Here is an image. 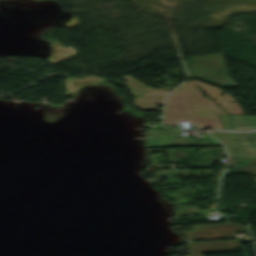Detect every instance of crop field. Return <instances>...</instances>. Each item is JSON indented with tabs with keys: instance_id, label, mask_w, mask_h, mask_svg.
Instances as JSON below:
<instances>
[{
	"instance_id": "obj_1",
	"label": "crop field",
	"mask_w": 256,
	"mask_h": 256,
	"mask_svg": "<svg viewBox=\"0 0 256 256\" xmlns=\"http://www.w3.org/2000/svg\"><path fill=\"white\" fill-rule=\"evenodd\" d=\"M218 114L227 113L209 99L202 98L200 90L190 81L168 95L164 123L188 121L199 124L197 128L222 129Z\"/></svg>"
},
{
	"instance_id": "obj_2",
	"label": "crop field",
	"mask_w": 256,
	"mask_h": 256,
	"mask_svg": "<svg viewBox=\"0 0 256 256\" xmlns=\"http://www.w3.org/2000/svg\"><path fill=\"white\" fill-rule=\"evenodd\" d=\"M120 78L126 81L124 82L127 85L125 88L130 90L128 94L135 97L133 100L136 107L150 110H162L155 108L154 105L163 104L165 94L169 91H153L128 75Z\"/></svg>"
},
{
	"instance_id": "obj_3",
	"label": "crop field",
	"mask_w": 256,
	"mask_h": 256,
	"mask_svg": "<svg viewBox=\"0 0 256 256\" xmlns=\"http://www.w3.org/2000/svg\"><path fill=\"white\" fill-rule=\"evenodd\" d=\"M245 134L212 132L213 137L225 144L229 156H256V132ZM247 138L252 141L255 149L248 142Z\"/></svg>"
},
{
	"instance_id": "obj_4",
	"label": "crop field",
	"mask_w": 256,
	"mask_h": 256,
	"mask_svg": "<svg viewBox=\"0 0 256 256\" xmlns=\"http://www.w3.org/2000/svg\"><path fill=\"white\" fill-rule=\"evenodd\" d=\"M192 227L194 232L180 233L187 238L196 240L235 238L233 232H245L249 234L247 226H242L239 223L199 225Z\"/></svg>"
},
{
	"instance_id": "obj_5",
	"label": "crop field",
	"mask_w": 256,
	"mask_h": 256,
	"mask_svg": "<svg viewBox=\"0 0 256 256\" xmlns=\"http://www.w3.org/2000/svg\"><path fill=\"white\" fill-rule=\"evenodd\" d=\"M190 256H202L201 253L235 251L241 247L239 240L186 243Z\"/></svg>"
},
{
	"instance_id": "obj_6",
	"label": "crop field",
	"mask_w": 256,
	"mask_h": 256,
	"mask_svg": "<svg viewBox=\"0 0 256 256\" xmlns=\"http://www.w3.org/2000/svg\"><path fill=\"white\" fill-rule=\"evenodd\" d=\"M209 140L212 141L211 144L207 143V141L194 142L193 138L187 137H155L146 138V143L147 147L221 145L218 141L212 139L211 137H209Z\"/></svg>"
},
{
	"instance_id": "obj_7",
	"label": "crop field",
	"mask_w": 256,
	"mask_h": 256,
	"mask_svg": "<svg viewBox=\"0 0 256 256\" xmlns=\"http://www.w3.org/2000/svg\"><path fill=\"white\" fill-rule=\"evenodd\" d=\"M198 86H200L212 99H214L224 110H226L229 114H240L246 115L239 104L233 100L227 93L208 86L206 84L200 83L198 81L193 80ZM220 93L225 94L224 96L220 95ZM234 101V102H231ZM231 102V103H228Z\"/></svg>"
},
{
	"instance_id": "obj_8",
	"label": "crop field",
	"mask_w": 256,
	"mask_h": 256,
	"mask_svg": "<svg viewBox=\"0 0 256 256\" xmlns=\"http://www.w3.org/2000/svg\"><path fill=\"white\" fill-rule=\"evenodd\" d=\"M222 128L227 130H233L229 120L228 115H219ZM232 123L235 127L234 130H251L256 129V117L252 116H240V115H232Z\"/></svg>"
},
{
	"instance_id": "obj_9",
	"label": "crop field",
	"mask_w": 256,
	"mask_h": 256,
	"mask_svg": "<svg viewBox=\"0 0 256 256\" xmlns=\"http://www.w3.org/2000/svg\"><path fill=\"white\" fill-rule=\"evenodd\" d=\"M153 136H177L181 135V131L172 130H149Z\"/></svg>"
}]
</instances>
